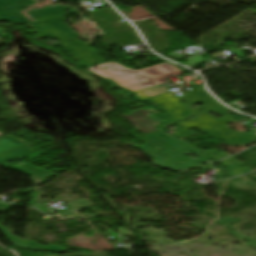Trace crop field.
Here are the masks:
<instances>
[{
	"label": "crop field",
	"instance_id": "1",
	"mask_svg": "<svg viewBox=\"0 0 256 256\" xmlns=\"http://www.w3.org/2000/svg\"><path fill=\"white\" fill-rule=\"evenodd\" d=\"M109 66V69L101 70L102 67ZM116 69L112 71V69ZM90 70L102 77L110 79L113 83L122 89L136 93L164 82L165 79L185 73L177 66L167 62L138 71L130 70L118 63H107Z\"/></svg>",
	"mask_w": 256,
	"mask_h": 256
},
{
	"label": "crop field",
	"instance_id": "2",
	"mask_svg": "<svg viewBox=\"0 0 256 256\" xmlns=\"http://www.w3.org/2000/svg\"><path fill=\"white\" fill-rule=\"evenodd\" d=\"M154 140H152L151 138ZM145 137L138 138L140 141L145 143L146 145L140 147L138 145H134V147L138 148L139 150L143 151L144 153L148 154L149 156L155 158L156 160L160 161L159 163L153 160L152 162L158 166L162 167L174 172H179L196 164L209 161L208 159L204 158L200 155V152L193 148L191 145L187 144L186 142L177 141L167 135L165 132L161 131L158 133H154ZM182 149L190 152L195 153V156L200 158L201 160H191L188 157L184 156L183 154L177 152L176 150L186 154L187 152L183 151ZM175 152L176 154L180 155L181 157L172 153ZM179 161L183 162L184 164L180 163ZM190 163H188V162ZM171 165H169V164ZM180 165L181 167H179ZM171 166L177 168L178 170L172 168Z\"/></svg>",
	"mask_w": 256,
	"mask_h": 256
},
{
	"label": "crop field",
	"instance_id": "3",
	"mask_svg": "<svg viewBox=\"0 0 256 256\" xmlns=\"http://www.w3.org/2000/svg\"><path fill=\"white\" fill-rule=\"evenodd\" d=\"M7 141H9V143H7ZM21 145H23L24 147L0 154V165L4 166L5 168L20 170L28 175H32V179L37 185L42 184L45 178L53 174L33 164L24 163L12 168H10L5 164L6 161L8 160L27 154L29 152V148L10 136H5L0 138V152L6 151Z\"/></svg>",
	"mask_w": 256,
	"mask_h": 256
},
{
	"label": "crop field",
	"instance_id": "5",
	"mask_svg": "<svg viewBox=\"0 0 256 256\" xmlns=\"http://www.w3.org/2000/svg\"><path fill=\"white\" fill-rule=\"evenodd\" d=\"M151 100L159 104V109L172 119L164 122L166 125L185 119L192 114V109L190 107L182 103L177 97L169 92L151 98Z\"/></svg>",
	"mask_w": 256,
	"mask_h": 256
},
{
	"label": "crop field",
	"instance_id": "6",
	"mask_svg": "<svg viewBox=\"0 0 256 256\" xmlns=\"http://www.w3.org/2000/svg\"><path fill=\"white\" fill-rule=\"evenodd\" d=\"M9 207L6 203H0V211H6Z\"/></svg>",
	"mask_w": 256,
	"mask_h": 256
},
{
	"label": "crop field",
	"instance_id": "8",
	"mask_svg": "<svg viewBox=\"0 0 256 256\" xmlns=\"http://www.w3.org/2000/svg\"><path fill=\"white\" fill-rule=\"evenodd\" d=\"M1 135V134H0Z\"/></svg>",
	"mask_w": 256,
	"mask_h": 256
},
{
	"label": "crop field",
	"instance_id": "7",
	"mask_svg": "<svg viewBox=\"0 0 256 256\" xmlns=\"http://www.w3.org/2000/svg\"><path fill=\"white\" fill-rule=\"evenodd\" d=\"M3 34H4V32H1V31H0V36H3Z\"/></svg>",
	"mask_w": 256,
	"mask_h": 256
},
{
	"label": "crop field",
	"instance_id": "4",
	"mask_svg": "<svg viewBox=\"0 0 256 256\" xmlns=\"http://www.w3.org/2000/svg\"><path fill=\"white\" fill-rule=\"evenodd\" d=\"M34 4V1L30 0H0V21L6 20L14 23H31L26 18H24L20 11L22 7ZM65 9H71L70 12H75L76 10L72 8H66L63 6L32 11L29 12L32 18L37 20L39 19H47L55 16L62 15L66 12H63Z\"/></svg>",
	"mask_w": 256,
	"mask_h": 256
}]
</instances>
